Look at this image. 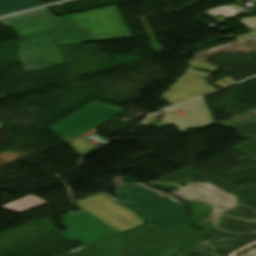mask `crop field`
Instances as JSON below:
<instances>
[{
	"mask_svg": "<svg viewBox=\"0 0 256 256\" xmlns=\"http://www.w3.org/2000/svg\"><path fill=\"white\" fill-rule=\"evenodd\" d=\"M61 33L89 31L93 40L131 38L116 6L56 17Z\"/></svg>",
	"mask_w": 256,
	"mask_h": 256,
	"instance_id": "obj_1",
	"label": "crop field"
},
{
	"mask_svg": "<svg viewBox=\"0 0 256 256\" xmlns=\"http://www.w3.org/2000/svg\"><path fill=\"white\" fill-rule=\"evenodd\" d=\"M92 41L88 32L58 34L19 42L24 70H34L61 65L57 45Z\"/></svg>",
	"mask_w": 256,
	"mask_h": 256,
	"instance_id": "obj_2",
	"label": "crop field"
},
{
	"mask_svg": "<svg viewBox=\"0 0 256 256\" xmlns=\"http://www.w3.org/2000/svg\"><path fill=\"white\" fill-rule=\"evenodd\" d=\"M127 187L131 202L162 228L189 224L182 204L139 185Z\"/></svg>",
	"mask_w": 256,
	"mask_h": 256,
	"instance_id": "obj_3",
	"label": "crop field"
},
{
	"mask_svg": "<svg viewBox=\"0 0 256 256\" xmlns=\"http://www.w3.org/2000/svg\"><path fill=\"white\" fill-rule=\"evenodd\" d=\"M120 111L122 109L94 102L49 128L67 142Z\"/></svg>",
	"mask_w": 256,
	"mask_h": 256,
	"instance_id": "obj_4",
	"label": "crop field"
},
{
	"mask_svg": "<svg viewBox=\"0 0 256 256\" xmlns=\"http://www.w3.org/2000/svg\"><path fill=\"white\" fill-rule=\"evenodd\" d=\"M75 203L120 232L146 223L107 195L101 194Z\"/></svg>",
	"mask_w": 256,
	"mask_h": 256,
	"instance_id": "obj_5",
	"label": "crop field"
},
{
	"mask_svg": "<svg viewBox=\"0 0 256 256\" xmlns=\"http://www.w3.org/2000/svg\"><path fill=\"white\" fill-rule=\"evenodd\" d=\"M189 65L190 66L187 69L186 73L183 76L178 77V82L169 88L172 90L162 94V97L173 105L183 103L191 99L211 93L213 91H216V89H214L212 86L206 84V80L197 77L200 76L205 78L210 74L190 69L191 66L194 65L207 70H211L213 71L212 73H214L217 71L216 66L208 65L193 60L189 62Z\"/></svg>",
	"mask_w": 256,
	"mask_h": 256,
	"instance_id": "obj_6",
	"label": "crop field"
},
{
	"mask_svg": "<svg viewBox=\"0 0 256 256\" xmlns=\"http://www.w3.org/2000/svg\"><path fill=\"white\" fill-rule=\"evenodd\" d=\"M63 218L67 220L63 224L71 230L61 234L70 241L77 239L84 245L119 233L86 211H81Z\"/></svg>",
	"mask_w": 256,
	"mask_h": 256,
	"instance_id": "obj_7",
	"label": "crop field"
},
{
	"mask_svg": "<svg viewBox=\"0 0 256 256\" xmlns=\"http://www.w3.org/2000/svg\"><path fill=\"white\" fill-rule=\"evenodd\" d=\"M12 28L21 41L60 33L55 18L23 24Z\"/></svg>",
	"mask_w": 256,
	"mask_h": 256,
	"instance_id": "obj_8",
	"label": "crop field"
},
{
	"mask_svg": "<svg viewBox=\"0 0 256 256\" xmlns=\"http://www.w3.org/2000/svg\"><path fill=\"white\" fill-rule=\"evenodd\" d=\"M53 17L46 8H41L26 13L18 14L15 16L0 19L6 27L13 26L15 23L23 24L33 22L41 19H47Z\"/></svg>",
	"mask_w": 256,
	"mask_h": 256,
	"instance_id": "obj_9",
	"label": "crop field"
},
{
	"mask_svg": "<svg viewBox=\"0 0 256 256\" xmlns=\"http://www.w3.org/2000/svg\"><path fill=\"white\" fill-rule=\"evenodd\" d=\"M42 5L38 0H0V16Z\"/></svg>",
	"mask_w": 256,
	"mask_h": 256,
	"instance_id": "obj_10",
	"label": "crop field"
},
{
	"mask_svg": "<svg viewBox=\"0 0 256 256\" xmlns=\"http://www.w3.org/2000/svg\"><path fill=\"white\" fill-rule=\"evenodd\" d=\"M45 203H47V202H45L33 195H30L25 198H22L17 201L6 204V205L2 206L1 208L21 213L23 211L29 210L31 208L37 207V206L45 204Z\"/></svg>",
	"mask_w": 256,
	"mask_h": 256,
	"instance_id": "obj_11",
	"label": "crop field"
},
{
	"mask_svg": "<svg viewBox=\"0 0 256 256\" xmlns=\"http://www.w3.org/2000/svg\"><path fill=\"white\" fill-rule=\"evenodd\" d=\"M116 194H117V202L121 204L122 206L133 210L135 213H137L141 218H143L147 223H153L149 219H147L143 214H141L137 209H135L130 203H128L125 195V189L124 187L116 188Z\"/></svg>",
	"mask_w": 256,
	"mask_h": 256,
	"instance_id": "obj_12",
	"label": "crop field"
}]
</instances>
